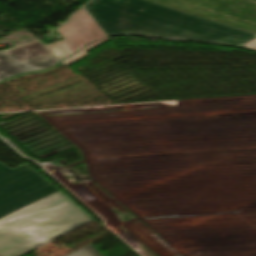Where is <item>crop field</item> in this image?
Instances as JSON below:
<instances>
[{
  "label": "crop field",
  "instance_id": "obj_11",
  "mask_svg": "<svg viewBox=\"0 0 256 256\" xmlns=\"http://www.w3.org/2000/svg\"><path fill=\"white\" fill-rule=\"evenodd\" d=\"M0 256H2V255H0Z\"/></svg>",
  "mask_w": 256,
  "mask_h": 256
},
{
  "label": "crop field",
  "instance_id": "obj_5",
  "mask_svg": "<svg viewBox=\"0 0 256 256\" xmlns=\"http://www.w3.org/2000/svg\"><path fill=\"white\" fill-rule=\"evenodd\" d=\"M8 52L21 60L50 53L43 45L38 42Z\"/></svg>",
  "mask_w": 256,
  "mask_h": 256
},
{
  "label": "crop field",
  "instance_id": "obj_4",
  "mask_svg": "<svg viewBox=\"0 0 256 256\" xmlns=\"http://www.w3.org/2000/svg\"><path fill=\"white\" fill-rule=\"evenodd\" d=\"M37 71L7 52H0V80L24 72ZM5 80V79H4ZM3 81V80H2ZM1 82V81H0Z\"/></svg>",
  "mask_w": 256,
  "mask_h": 256
},
{
  "label": "crop field",
  "instance_id": "obj_6",
  "mask_svg": "<svg viewBox=\"0 0 256 256\" xmlns=\"http://www.w3.org/2000/svg\"><path fill=\"white\" fill-rule=\"evenodd\" d=\"M23 62L27 63L28 65L32 66L37 70H41L49 69L51 66L59 62V60L55 58L52 54H50L34 59L24 60Z\"/></svg>",
  "mask_w": 256,
  "mask_h": 256
},
{
  "label": "crop field",
  "instance_id": "obj_7",
  "mask_svg": "<svg viewBox=\"0 0 256 256\" xmlns=\"http://www.w3.org/2000/svg\"><path fill=\"white\" fill-rule=\"evenodd\" d=\"M107 40H109V38L103 39V40H100V41H96V42L86 46L80 52H78L77 54L73 55L72 57H70L69 59H67L66 61H64L62 63H64L65 65H69V64H71V63H73V62H75V61L85 57L87 55V53H85L86 51L96 47L97 45H99V44H101V43H103V42H105Z\"/></svg>",
  "mask_w": 256,
  "mask_h": 256
},
{
  "label": "crop field",
  "instance_id": "obj_3",
  "mask_svg": "<svg viewBox=\"0 0 256 256\" xmlns=\"http://www.w3.org/2000/svg\"><path fill=\"white\" fill-rule=\"evenodd\" d=\"M56 32L63 37L62 40L45 45V47L60 61L85 44L107 37L84 8L74 14Z\"/></svg>",
  "mask_w": 256,
  "mask_h": 256
},
{
  "label": "crop field",
  "instance_id": "obj_1",
  "mask_svg": "<svg viewBox=\"0 0 256 256\" xmlns=\"http://www.w3.org/2000/svg\"><path fill=\"white\" fill-rule=\"evenodd\" d=\"M93 220L27 163H0V254L23 256Z\"/></svg>",
  "mask_w": 256,
  "mask_h": 256
},
{
  "label": "crop field",
  "instance_id": "obj_8",
  "mask_svg": "<svg viewBox=\"0 0 256 256\" xmlns=\"http://www.w3.org/2000/svg\"><path fill=\"white\" fill-rule=\"evenodd\" d=\"M68 256H102L91 244Z\"/></svg>",
  "mask_w": 256,
  "mask_h": 256
},
{
  "label": "crop field",
  "instance_id": "obj_2",
  "mask_svg": "<svg viewBox=\"0 0 256 256\" xmlns=\"http://www.w3.org/2000/svg\"><path fill=\"white\" fill-rule=\"evenodd\" d=\"M84 8L108 36L131 35L237 46L256 37L144 0H93Z\"/></svg>",
  "mask_w": 256,
  "mask_h": 256
},
{
  "label": "crop field",
  "instance_id": "obj_9",
  "mask_svg": "<svg viewBox=\"0 0 256 256\" xmlns=\"http://www.w3.org/2000/svg\"><path fill=\"white\" fill-rule=\"evenodd\" d=\"M241 47H245V48H250V49H255L256 50V38L251 40L250 42L242 45Z\"/></svg>",
  "mask_w": 256,
  "mask_h": 256
},
{
  "label": "crop field",
  "instance_id": "obj_10",
  "mask_svg": "<svg viewBox=\"0 0 256 256\" xmlns=\"http://www.w3.org/2000/svg\"><path fill=\"white\" fill-rule=\"evenodd\" d=\"M61 65H63V64H62V63H60V64H58L57 66H55L54 68H52V69H50V70H48V71H51V70H53V69H55V68H57V67H59V66H61ZM48 71L35 72V73H31V74L43 73V72H48ZM31 74L21 75V76L15 77V78L8 79V80H6V81H4V82H7V81H10V80H13V79L19 78V77H23V76L31 75ZM4 82H2V83H4ZM2 83H0V84H2Z\"/></svg>",
  "mask_w": 256,
  "mask_h": 256
}]
</instances>
